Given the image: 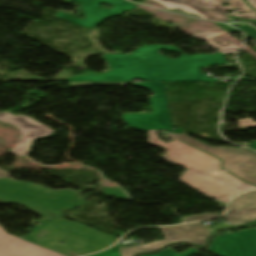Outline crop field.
Masks as SVG:
<instances>
[{
    "mask_svg": "<svg viewBox=\"0 0 256 256\" xmlns=\"http://www.w3.org/2000/svg\"><path fill=\"white\" fill-rule=\"evenodd\" d=\"M232 225H243L256 220V191L245 193L229 206L224 216Z\"/></svg>",
    "mask_w": 256,
    "mask_h": 256,
    "instance_id": "22f410ed",
    "label": "crop field"
},
{
    "mask_svg": "<svg viewBox=\"0 0 256 256\" xmlns=\"http://www.w3.org/2000/svg\"><path fill=\"white\" fill-rule=\"evenodd\" d=\"M239 121H240L242 129H247V127H249V126L256 127V123H254L253 119H251V118L239 119ZM249 147L256 149V141H253Z\"/></svg>",
    "mask_w": 256,
    "mask_h": 256,
    "instance_id": "733c2abd",
    "label": "crop field"
},
{
    "mask_svg": "<svg viewBox=\"0 0 256 256\" xmlns=\"http://www.w3.org/2000/svg\"><path fill=\"white\" fill-rule=\"evenodd\" d=\"M41 229L50 232L42 238L38 237L36 234ZM41 229L34 231L35 233L32 232L33 234L30 233L31 235L26 239L69 256L96 252L116 241L114 236L100 233L79 223L68 222L62 218L47 223ZM60 241L64 243L61 244Z\"/></svg>",
    "mask_w": 256,
    "mask_h": 256,
    "instance_id": "412701ff",
    "label": "crop field"
},
{
    "mask_svg": "<svg viewBox=\"0 0 256 256\" xmlns=\"http://www.w3.org/2000/svg\"><path fill=\"white\" fill-rule=\"evenodd\" d=\"M256 51V50H255Z\"/></svg>",
    "mask_w": 256,
    "mask_h": 256,
    "instance_id": "730fd06b",
    "label": "crop field"
},
{
    "mask_svg": "<svg viewBox=\"0 0 256 256\" xmlns=\"http://www.w3.org/2000/svg\"><path fill=\"white\" fill-rule=\"evenodd\" d=\"M208 250L221 256H256V229L222 235Z\"/></svg>",
    "mask_w": 256,
    "mask_h": 256,
    "instance_id": "d8731c3e",
    "label": "crop field"
},
{
    "mask_svg": "<svg viewBox=\"0 0 256 256\" xmlns=\"http://www.w3.org/2000/svg\"><path fill=\"white\" fill-rule=\"evenodd\" d=\"M0 256H63L27 243L9 234L0 225Z\"/></svg>",
    "mask_w": 256,
    "mask_h": 256,
    "instance_id": "d1516ede",
    "label": "crop field"
},
{
    "mask_svg": "<svg viewBox=\"0 0 256 256\" xmlns=\"http://www.w3.org/2000/svg\"><path fill=\"white\" fill-rule=\"evenodd\" d=\"M131 1V0H130ZM155 2H158L160 4H162L163 6H165L167 9H174V8H181L184 11H186L187 13L190 14H196L201 16L199 13H197L196 11H194L192 8H190L189 6H187L185 3L179 1V0H153ZM202 18H204L203 16H201ZM205 19V18H204Z\"/></svg>",
    "mask_w": 256,
    "mask_h": 256,
    "instance_id": "5142ce71",
    "label": "crop field"
},
{
    "mask_svg": "<svg viewBox=\"0 0 256 256\" xmlns=\"http://www.w3.org/2000/svg\"><path fill=\"white\" fill-rule=\"evenodd\" d=\"M150 89L155 94L150 97L153 114H125V121L132 127L145 129H168L176 134L183 133L182 129L172 130L164 82L133 83Z\"/></svg>",
    "mask_w": 256,
    "mask_h": 256,
    "instance_id": "dd49c442",
    "label": "crop field"
},
{
    "mask_svg": "<svg viewBox=\"0 0 256 256\" xmlns=\"http://www.w3.org/2000/svg\"><path fill=\"white\" fill-rule=\"evenodd\" d=\"M0 203H19L47 218L40 221L43 224L59 218L63 209L83 204L73 191H53L9 178L0 179Z\"/></svg>",
    "mask_w": 256,
    "mask_h": 256,
    "instance_id": "34b2d1b8",
    "label": "crop field"
},
{
    "mask_svg": "<svg viewBox=\"0 0 256 256\" xmlns=\"http://www.w3.org/2000/svg\"><path fill=\"white\" fill-rule=\"evenodd\" d=\"M176 138L222 159L223 169L256 185V154L243 148L211 147L186 135Z\"/></svg>",
    "mask_w": 256,
    "mask_h": 256,
    "instance_id": "f4fd0767",
    "label": "crop field"
},
{
    "mask_svg": "<svg viewBox=\"0 0 256 256\" xmlns=\"http://www.w3.org/2000/svg\"><path fill=\"white\" fill-rule=\"evenodd\" d=\"M181 1L185 2L186 4H192V5H196V6H200V7H202V5H203L204 6L203 8H205V9L218 11V12H222V13H226L225 12L226 10L233 7L231 4V1H227V0H181ZM222 3H230V5L227 7L221 6ZM233 3L236 8H240L244 12L251 11L252 13L251 14H240V15L239 14H231L232 16L242 17V18H246V19H256V12L254 10H252L251 8H249L242 0H233ZM190 7H192L194 10L196 8L197 9L196 11L199 12L201 15H203L208 20L223 21V22L229 20L226 18L225 14H219V13H215V12H211V11H207V10H202L201 8H197L194 6H190ZM226 14H228V13H226Z\"/></svg>",
    "mask_w": 256,
    "mask_h": 256,
    "instance_id": "28ad6ade",
    "label": "crop field"
},
{
    "mask_svg": "<svg viewBox=\"0 0 256 256\" xmlns=\"http://www.w3.org/2000/svg\"><path fill=\"white\" fill-rule=\"evenodd\" d=\"M170 135L174 141L166 144L157 138L156 130H149V142L168 151L163 158L188 169L179 179L191 187L224 203L244 190L256 188L222 170L220 159L177 140L172 133Z\"/></svg>",
    "mask_w": 256,
    "mask_h": 256,
    "instance_id": "ac0d7876",
    "label": "crop field"
},
{
    "mask_svg": "<svg viewBox=\"0 0 256 256\" xmlns=\"http://www.w3.org/2000/svg\"><path fill=\"white\" fill-rule=\"evenodd\" d=\"M163 48L180 52L179 60L157 54ZM224 54L187 56L172 46L154 45L140 48L133 55H105L113 71L103 75L85 76L66 81H132L134 78L146 81H218L201 73L205 66L227 63Z\"/></svg>",
    "mask_w": 256,
    "mask_h": 256,
    "instance_id": "8a807250",
    "label": "crop field"
},
{
    "mask_svg": "<svg viewBox=\"0 0 256 256\" xmlns=\"http://www.w3.org/2000/svg\"><path fill=\"white\" fill-rule=\"evenodd\" d=\"M194 253H197V250L195 248H190L185 253L182 254L174 253L172 249H165L164 251L157 254H147L142 256H189Z\"/></svg>",
    "mask_w": 256,
    "mask_h": 256,
    "instance_id": "d9b57169",
    "label": "crop field"
},
{
    "mask_svg": "<svg viewBox=\"0 0 256 256\" xmlns=\"http://www.w3.org/2000/svg\"><path fill=\"white\" fill-rule=\"evenodd\" d=\"M239 28H240L241 30H243L244 32L248 33L249 35H251L252 37H254V38L256 39V35L250 33L249 31H247V30H245V29H243V28H241V27H239Z\"/></svg>",
    "mask_w": 256,
    "mask_h": 256,
    "instance_id": "4177f3b9",
    "label": "crop field"
},
{
    "mask_svg": "<svg viewBox=\"0 0 256 256\" xmlns=\"http://www.w3.org/2000/svg\"><path fill=\"white\" fill-rule=\"evenodd\" d=\"M0 121L9 123L21 131V138L18 143L16 142L17 144L10 152L22 156H24L30 149L31 143L35 138L46 136L54 132V130L27 117L26 115L14 116L8 112H2L0 113Z\"/></svg>",
    "mask_w": 256,
    "mask_h": 256,
    "instance_id": "5a996713",
    "label": "crop field"
},
{
    "mask_svg": "<svg viewBox=\"0 0 256 256\" xmlns=\"http://www.w3.org/2000/svg\"><path fill=\"white\" fill-rule=\"evenodd\" d=\"M216 25H218L219 27H221L222 29L226 30L229 33L238 32V30H236V29H232L230 27H227L226 24L216 23Z\"/></svg>",
    "mask_w": 256,
    "mask_h": 256,
    "instance_id": "214f88e0",
    "label": "crop field"
},
{
    "mask_svg": "<svg viewBox=\"0 0 256 256\" xmlns=\"http://www.w3.org/2000/svg\"><path fill=\"white\" fill-rule=\"evenodd\" d=\"M161 230L164 232L165 240L147 243L139 247L119 248L121 256H134L136 252L159 249L175 241H187L195 245H207L206 238L212 235L201 223L177 227H164L161 228Z\"/></svg>",
    "mask_w": 256,
    "mask_h": 256,
    "instance_id": "e52e79f7",
    "label": "crop field"
},
{
    "mask_svg": "<svg viewBox=\"0 0 256 256\" xmlns=\"http://www.w3.org/2000/svg\"><path fill=\"white\" fill-rule=\"evenodd\" d=\"M89 256H120V253H119V249L116 245L107 251H104V252L98 253V254H94V255H89Z\"/></svg>",
    "mask_w": 256,
    "mask_h": 256,
    "instance_id": "4a817a6b",
    "label": "crop field"
},
{
    "mask_svg": "<svg viewBox=\"0 0 256 256\" xmlns=\"http://www.w3.org/2000/svg\"><path fill=\"white\" fill-rule=\"evenodd\" d=\"M243 28H245V29L249 30L250 32L256 34V30L251 28V27H249V26H243Z\"/></svg>",
    "mask_w": 256,
    "mask_h": 256,
    "instance_id": "00972430",
    "label": "crop field"
},
{
    "mask_svg": "<svg viewBox=\"0 0 256 256\" xmlns=\"http://www.w3.org/2000/svg\"><path fill=\"white\" fill-rule=\"evenodd\" d=\"M103 2L112 4L114 8L112 10L100 9L99 4ZM81 6L85 13L86 19H74L61 12H57L56 17L67 19L81 26L95 27L103 19L109 16H116L138 7L126 0H89L81 4Z\"/></svg>",
    "mask_w": 256,
    "mask_h": 256,
    "instance_id": "3316defc",
    "label": "crop field"
},
{
    "mask_svg": "<svg viewBox=\"0 0 256 256\" xmlns=\"http://www.w3.org/2000/svg\"><path fill=\"white\" fill-rule=\"evenodd\" d=\"M11 175H9V174H7L6 172H4V171H2L1 169H0V178H2V177H10Z\"/></svg>",
    "mask_w": 256,
    "mask_h": 256,
    "instance_id": "92a150f3",
    "label": "crop field"
},
{
    "mask_svg": "<svg viewBox=\"0 0 256 256\" xmlns=\"http://www.w3.org/2000/svg\"><path fill=\"white\" fill-rule=\"evenodd\" d=\"M230 18H234V19H239V20H244V21H248V22H251L253 24H256V21L255 20H246V19H241V18H237V17H231V16H228Z\"/></svg>",
    "mask_w": 256,
    "mask_h": 256,
    "instance_id": "dafd665d",
    "label": "crop field"
},
{
    "mask_svg": "<svg viewBox=\"0 0 256 256\" xmlns=\"http://www.w3.org/2000/svg\"><path fill=\"white\" fill-rule=\"evenodd\" d=\"M219 216L218 214H204V215H197V216H191V217H185L184 221H196V220H202V219H208V218H214Z\"/></svg>",
    "mask_w": 256,
    "mask_h": 256,
    "instance_id": "bc2a9ffb",
    "label": "crop field"
},
{
    "mask_svg": "<svg viewBox=\"0 0 256 256\" xmlns=\"http://www.w3.org/2000/svg\"><path fill=\"white\" fill-rule=\"evenodd\" d=\"M252 7L256 10V0H248Z\"/></svg>",
    "mask_w": 256,
    "mask_h": 256,
    "instance_id": "a9b5d70f",
    "label": "crop field"
},
{
    "mask_svg": "<svg viewBox=\"0 0 256 256\" xmlns=\"http://www.w3.org/2000/svg\"><path fill=\"white\" fill-rule=\"evenodd\" d=\"M197 39H204L206 40L212 47L216 48H221L219 51L227 54V53H235L236 50L238 48L234 47L233 45H229V46H225V47H221L220 45H218L217 43H215L214 41L211 40V38L217 36L214 32H204V33H200V34H195V35H191Z\"/></svg>",
    "mask_w": 256,
    "mask_h": 256,
    "instance_id": "cbeb9de0",
    "label": "crop field"
}]
</instances>
